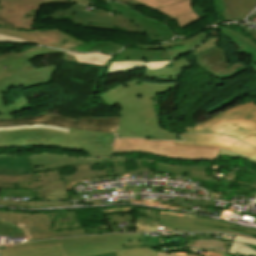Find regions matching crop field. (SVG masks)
<instances>
[{
    "label": "crop field",
    "instance_id": "5866460e",
    "mask_svg": "<svg viewBox=\"0 0 256 256\" xmlns=\"http://www.w3.org/2000/svg\"><path fill=\"white\" fill-rule=\"evenodd\" d=\"M133 68H144V65H114L109 68L107 75L128 71Z\"/></svg>",
    "mask_w": 256,
    "mask_h": 256
},
{
    "label": "crop field",
    "instance_id": "25e5ab78",
    "mask_svg": "<svg viewBox=\"0 0 256 256\" xmlns=\"http://www.w3.org/2000/svg\"><path fill=\"white\" fill-rule=\"evenodd\" d=\"M133 247H141V246H125V247H122V249H125V248H133Z\"/></svg>",
    "mask_w": 256,
    "mask_h": 256
},
{
    "label": "crop field",
    "instance_id": "d9b57169",
    "mask_svg": "<svg viewBox=\"0 0 256 256\" xmlns=\"http://www.w3.org/2000/svg\"><path fill=\"white\" fill-rule=\"evenodd\" d=\"M224 22L242 21L256 7V0H213Z\"/></svg>",
    "mask_w": 256,
    "mask_h": 256
},
{
    "label": "crop field",
    "instance_id": "c035e120",
    "mask_svg": "<svg viewBox=\"0 0 256 256\" xmlns=\"http://www.w3.org/2000/svg\"><path fill=\"white\" fill-rule=\"evenodd\" d=\"M233 26H237V27H239V28L244 29L247 34H249V35L252 36L254 39H256V31H253V30H251V29H249V28H246V27H244V26H242V25H240V24L233 25Z\"/></svg>",
    "mask_w": 256,
    "mask_h": 256
},
{
    "label": "crop field",
    "instance_id": "8a807250",
    "mask_svg": "<svg viewBox=\"0 0 256 256\" xmlns=\"http://www.w3.org/2000/svg\"><path fill=\"white\" fill-rule=\"evenodd\" d=\"M61 3L74 4L69 0H0V33L25 39L31 44L79 52L116 53L124 47L106 41H86L61 30H31L41 5Z\"/></svg>",
    "mask_w": 256,
    "mask_h": 256
},
{
    "label": "crop field",
    "instance_id": "ac0d7876",
    "mask_svg": "<svg viewBox=\"0 0 256 256\" xmlns=\"http://www.w3.org/2000/svg\"><path fill=\"white\" fill-rule=\"evenodd\" d=\"M173 85L134 81L100 95L108 106L121 105L118 137L147 138L159 128V113H154L151 98L168 92Z\"/></svg>",
    "mask_w": 256,
    "mask_h": 256
},
{
    "label": "crop field",
    "instance_id": "412701ff",
    "mask_svg": "<svg viewBox=\"0 0 256 256\" xmlns=\"http://www.w3.org/2000/svg\"><path fill=\"white\" fill-rule=\"evenodd\" d=\"M116 134L71 129L69 134L46 130L26 129L0 132V147L45 146L86 150L89 157H112L111 144ZM52 137V138H50Z\"/></svg>",
    "mask_w": 256,
    "mask_h": 256
},
{
    "label": "crop field",
    "instance_id": "5142ce71",
    "mask_svg": "<svg viewBox=\"0 0 256 256\" xmlns=\"http://www.w3.org/2000/svg\"><path fill=\"white\" fill-rule=\"evenodd\" d=\"M33 172L65 167L81 163H103L102 159H82L51 154H39L29 156Z\"/></svg>",
    "mask_w": 256,
    "mask_h": 256
},
{
    "label": "crop field",
    "instance_id": "e1f06a70",
    "mask_svg": "<svg viewBox=\"0 0 256 256\" xmlns=\"http://www.w3.org/2000/svg\"><path fill=\"white\" fill-rule=\"evenodd\" d=\"M200 255H203V256H232V255H224V254H220V253H208V252H203ZM158 256H195V255H191V254H187V253H160V252H158Z\"/></svg>",
    "mask_w": 256,
    "mask_h": 256
},
{
    "label": "crop field",
    "instance_id": "34b2d1b8",
    "mask_svg": "<svg viewBox=\"0 0 256 256\" xmlns=\"http://www.w3.org/2000/svg\"><path fill=\"white\" fill-rule=\"evenodd\" d=\"M115 11L113 16L100 10H84L86 6L75 3L66 10H53L50 15L41 18L53 17L57 19H72V22L81 26L106 31H123L147 35L155 41L166 42L173 38L170 30L162 23L143 17L129 7L116 2L108 3Z\"/></svg>",
    "mask_w": 256,
    "mask_h": 256
},
{
    "label": "crop field",
    "instance_id": "5a996713",
    "mask_svg": "<svg viewBox=\"0 0 256 256\" xmlns=\"http://www.w3.org/2000/svg\"><path fill=\"white\" fill-rule=\"evenodd\" d=\"M219 150L220 148L186 146L175 144V142L138 139H116L113 146V153H132L136 151L182 160H216Z\"/></svg>",
    "mask_w": 256,
    "mask_h": 256
},
{
    "label": "crop field",
    "instance_id": "22f410ed",
    "mask_svg": "<svg viewBox=\"0 0 256 256\" xmlns=\"http://www.w3.org/2000/svg\"><path fill=\"white\" fill-rule=\"evenodd\" d=\"M194 58L201 68L214 77L225 74L233 77L248 68L239 62L231 65L228 61L226 53L219 47L210 49ZM239 67H242L243 69L234 73L236 68Z\"/></svg>",
    "mask_w": 256,
    "mask_h": 256
},
{
    "label": "crop field",
    "instance_id": "425ffa30",
    "mask_svg": "<svg viewBox=\"0 0 256 256\" xmlns=\"http://www.w3.org/2000/svg\"><path fill=\"white\" fill-rule=\"evenodd\" d=\"M0 118H14L13 115H0Z\"/></svg>",
    "mask_w": 256,
    "mask_h": 256
},
{
    "label": "crop field",
    "instance_id": "f4fd0767",
    "mask_svg": "<svg viewBox=\"0 0 256 256\" xmlns=\"http://www.w3.org/2000/svg\"><path fill=\"white\" fill-rule=\"evenodd\" d=\"M62 52L63 51L37 47L22 53L9 52L0 54V64L3 67L5 66L7 68L5 70L11 74L0 79V113L14 114L34 108L26 96L5 106L3 95L11 88L18 85L21 89H25L50 83L51 74L58 66H46L35 69L28 60L36 56L54 53L62 54Z\"/></svg>",
    "mask_w": 256,
    "mask_h": 256
},
{
    "label": "crop field",
    "instance_id": "b54c1fbb",
    "mask_svg": "<svg viewBox=\"0 0 256 256\" xmlns=\"http://www.w3.org/2000/svg\"><path fill=\"white\" fill-rule=\"evenodd\" d=\"M73 1H76V2H79L81 4H84V5H88V6H93L89 0H73Z\"/></svg>",
    "mask_w": 256,
    "mask_h": 256
},
{
    "label": "crop field",
    "instance_id": "733c2abd",
    "mask_svg": "<svg viewBox=\"0 0 256 256\" xmlns=\"http://www.w3.org/2000/svg\"><path fill=\"white\" fill-rule=\"evenodd\" d=\"M207 33H198L187 39H180L176 41H171L164 44H156V45H140L139 48H147V49H167L171 60L188 52L199 43H201L204 38L209 34Z\"/></svg>",
    "mask_w": 256,
    "mask_h": 256
},
{
    "label": "crop field",
    "instance_id": "dd49c442",
    "mask_svg": "<svg viewBox=\"0 0 256 256\" xmlns=\"http://www.w3.org/2000/svg\"><path fill=\"white\" fill-rule=\"evenodd\" d=\"M0 187L31 188L41 200H69V194L58 170L33 174L27 156L0 157Z\"/></svg>",
    "mask_w": 256,
    "mask_h": 256
},
{
    "label": "crop field",
    "instance_id": "ae1a2a85",
    "mask_svg": "<svg viewBox=\"0 0 256 256\" xmlns=\"http://www.w3.org/2000/svg\"><path fill=\"white\" fill-rule=\"evenodd\" d=\"M0 234L10 235L11 237L28 236V241L31 240L28 226L22 223L0 222Z\"/></svg>",
    "mask_w": 256,
    "mask_h": 256
},
{
    "label": "crop field",
    "instance_id": "bc2a9ffb",
    "mask_svg": "<svg viewBox=\"0 0 256 256\" xmlns=\"http://www.w3.org/2000/svg\"><path fill=\"white\" fill-rule=\"evenodd\" d=\"M0 256H66L61 244H50L36 247L18 249H5L0 251Z\"/></svg>",
    "mask_w": 256,
    "mask_h": 256
},
{
    "label": "crop field",
    "instance_id": "3316defc",
    "mask_svg": "<svg viewBox=\"0 0 256 256\" xmlns=\"http://www.w3.org/2000/svg\"><path fill=\"white\" fill-rule=\"evenodd\" d=\"M62 243L67 256L91 255L121 249L125 245H142V234H104L67 239L36 241L27 244L5 245L6 248Z\"/></svg>",
    "mask_w": 256,
    "mask_h": 256
},
{
    "label": "crop field",
    "instance_id": "4a817a6b",
    "mask_svg": "<svg viewBox=\"0 0 256 256\" xmlns=\"http://www.w3.org/2000/svg\"><path fill=\"white\" fill-rule=\"evenodd\" d=\"M170 60L166 50L128 49L115 55L112 62L117 61H159ZM171 61V60H170Z\"/></svg>",
    "mask_w": 256,
    "mask_h": 256
},
{
    "label": "crop field",
    "instance_id": "eef30255",
    "mask_svg": "<svg viewBox=\"0 0 256 256\" xmlns=\"http://www.w3.org/2000/svg\"><path fill=\"white\" fill-rule=\"evenodd\" d=\"M104 162H109L108 166H106V169L109 173V175L114 174H127V173H138V172H147L145 169H138L137 171H129L127 172L126 167L123 166L124 162H130V161H146V160H138V159H130V158H112V159H103ZM154 173H148V179H153Z\"/></svg>",
    "mask_w": 256,
    "mask_h": 256
},
{
    "label": "crop field",
    "instance_id": "730fd06b",
    "mask_svg": "<svg viewBox=\"0 0 256 256\" xmlns=\"http://www.w3.org/2000/svg\"><path fill=\"white\" fill-rule=\"evenodd\" d=\"M224 36L230 39L231 41L235 40V44L241 49L243 52L251 56V54L256 51V43L250 40L246 35L241 32L223 28L220 29Z\"/></svg>",
    "mask_w": 256,
    "mask_h": 256
},
{
    "label": "crop field",
    "instance_id": "4177f3b9",
    "mask_svg": "<svg viewBox=\"0 0 256 256\" xmlns=\"http://www.w3.org/2000/svg\"><path fill=\"white\" fill-rule=\"evenodd\" d=\"M228 253L256 256V239L236 235Z\"/></svg>",
    "mask_w": 256,
    "mask_h": 256
},
{
    "label": "crop field",
    "instance_id": "5d738f31",
    "mask_svg": "<svg viewBox=\"0 0 256 256\" xmlns=\"http://www.w3.org/2000/svg\"><path fill=\"white\" fill-rule=\"evenodd\" d=\"M7 75H9V73H7V72L3 69V67L0 65V78L5 77V76H7Z\"/></svg>",
    "mask_w": 256,
    "mask_h": 256
},
{
    "label": "crop field",
    "instance_id": "00972430",
    "mask_svg": "<svg viewBox=\"0 0 256 256\" xmlns=\"http://www.w3.org/2000/svg\"><path fill=\"white\" fill-rule=\"evenodd\" d=\"M92 164H81L76 165L78 171L70 176H61L63 180L65 181V184L68 189L73 188L79 180H88L92 178H98V177H104L108 176L106 169H103L102 171H90L88 168Z\"/></svg>",
    "mask_w": 256,
    "mask_h": 256
},
{
    "label": "crop field",
    "instance_id": "028f5c9d",
    "mask_svg": "<svg viewBox=\"0 0 256 256\" xmlns=\"http://www.w3.org/2000/svg\"><path fill=\"white\" fill-rule=\"evenodd\" d=\"M151 136L158 138V139H170V140H176V138H177V135L170 133L161 128L156 130Z\"/></svg>",
    "mask_w": 256,
    "mask_h": 256
},
{
    "label": "crop field",
    "instance_id": "a9b5d70f",
    "mask_svg": "<svg viewBox=\"0 0 256 256\" xmlns=\"http://www.w3.org/2000/svg\"><path fill=\"white\" fill-rule=\"evenodd\" d=\"M172 68H163L159 71H146V75L158 80H176L179 78L182 69L192 66L185 59L172 61Z\"/></svg>",
    "mask_w": 256,
    "mask_h": 256
},
{
    "label": "crop field",
    "instance_id": "b80d0937",
    "mask_svg": "<svg viewBox=\"0 0 256 256\" xmlns=\"http://www.w3.org/2000/svg\"><path fill=\"white\" fill-rule=\"evenodd\" d=\"M1 26V25H0ZM0 42H11V43H28L25 40H21V39H17V38H13V37H9V36H5V35H1L0 34Z\"/></svg>",
    "mask_w": 256,
    "mask_h": 256
},
{
    "label": "crop field",
    "instance_id": "03da06ac",
    "mask_svg": "<svg viewBox=\"0 0 256 256\" xmlns=\"http://www.w3.org/2000/svg\"><path fill=\"white\" fill-rule=\"evenodd\" d=\"M251 69H253L256 72V52L252 54L251 56Z\"/></svg>",
    "mask_w": 256,
    "mask_h": 256
},
{
    "label": "crop field",
    "instance_id": "214f88e0",
    "mask_svg": "<svg viewBox=\"0 0 256 256\" xmlns=\"http://www.w3.org/2000/svg\"><path fill=\"white\" fill-rule=\"evenodd\" d=\"M156 10L161 11L176 19L181 28L202 19L192 10L191 0H186L182 3Z\"/></svg>",
    "mask_w": 256,
    "mask_h": 256
},
{
    "label": "crop field",
    "instance_id": "0bd39190",
    "mask_svg": "<svg viewBox=\"0 0 256 256\" xmlns=\"http://www.w3.org/2000/svg\"><path fill=\"white\" fill-rule=\"evenodd\" d=\"M219 156H233V157L244 158V159L249 160V161H256L255 159H252L250 157L244 156V155L239 154V153L231 152V151H228V150H225V149H222V148H221Z\"/></svg>",
    "mask_w": 256,
    "mask_h": 256
},
{
    "label": "crop field",
    "instance_id": "1d83c4d3",
    "mask_svg": "<svg viewBox=\"0 0 256 256\" xmlns=\"http://www.w3.org/2000/svg\"><path fill=\"white\" fill-rule=\"evenodd\" d=\"M152 9L182 2L184 0H136Z\"/></svg>",
    "mask_w": 256,
    "mask_h": 256
},
{
    "label": "crop field",
    "instance_id": "d8731c3e",
    "mask_svg": "<svg viewBox=\"0 0 256 256\" xmlns=\"http://www.w3.org/2000/svg\"><path fill=\"white\" fill-rule=\"evenodd\" d=\"M186 131L227 134L256 147V104L249 100Z\"/></svg>",
    "mask_w": 256,
    "mask_h": 256
},
{
    "label": "crop field",
    "instance_id": "bd1437ed",
    "mask_svg": "<svg viewBox=\"0 0 256 256\" xmlns=\"http://www.w3.org/2000/svg\"><path fill=\"white\" fill-rule=\"evenodd\" d=\"M157 249L138 248L117 252V256H156Z\"/></svg>",
    "mask_w": 256,
    "mask_h": 256
},
{
    "label": "crop field",
    "instance_id": "d3111659",
    "mask_svg": "<svg viewBox=\"0 0 256 256\" xmlns=\"http://www.w3.org/2000/svg\"><path fill=\"white\" fill-rule=\"evenodd\" d=\"M0 205L14 206V207L72 206L71 203H67V202H21V201H10V200H0Z\"/></svg>",
    "mask_w": 256,
    "mask_h": 256
},
{
    "label": "crop field",
    "instance_id": "dafd665d",
    "mask_svg": "<svg viewBox=\"0 0 256 256\" xmlns=\"http://www.w3.org/2000/svg\"><path fill=\"white\" fill-rule=\"evenodd\" d=\"M158 215L159 211L136 208L135 232L156 231Z\"/></svg>",
    "mask_w": 256,
    "mask_h": 256
},
{
    "label": "crop field",
    "instance_id": "d1516ede",
    "mask_svg": "<svg viewBox=\"0 0 256 256\" xmlns=\"http://www.w3.org/2000/svg\"><path fill=\"white\" fill-rule=\"evenodd\" d=\"M158 224H166V230L178 231H226L241 234H256V229L247 230L237 228L232 224L211 218L196 216V218H183L178 216L160 214Z\"/></svg>",
    "mask_w": 256,
    "mask_h": 256
},
{
    "label": "crop field",
    "instance_id": "c21b1889",
    "mask_svg": "<svg viewBox=\"0 0 256 256\" xmlns=\"http://www.w3.org/2000/svg\"><path fill=\"white\" fill-rule=\"evenodd\" d=\"M104 1H108V0H104ZM118 1H122V2H124V3L129 4V5L136 6V7L143 8V9H146V8L142 7L141 5L137 4L136 2H134L133 0H118Z\"/></svg>",
    "mask_w": 256,
    "mask_h": 256
},
{
    "label": "crop field",
    "instance_id": "cbeb9de0",
    "mask_svg": "<svg viewBox=\"0 0 256 256\" xmlns=\"http://www.w3.org/2000/svg\"><path fill=\"white\" fill-rule=\"evenodd\" d=\"M186 141L176 142L187 145H204L213 147H223L232 151L242 153L256 159V149H253L235 139L221 135H201V134H179Z\"/></svg>",
    "mask_w": 256,
    "mask_h": 256
},
{
    "label": "crop field",
    "instance_id": "750c4746",
    "mask_svg": "<svg viewBox=\"0 0 256 256\" xmlns=\"http://www.w3.org/2000/svg\"><path fill=\"white\" fill-rule=\"evenodd\" d=\"M218 40H220V38L217 34V30H214V32L206 39V41L203 44H201L200 46H198L196 49L192 51L193 57L210 48H213L219 45Z\"/></svg>",
    "mask_w": 256,
    "mask_h": 256
},
{
    "label": "crop field",
    "instance_id": "120bbe31",
    "mask_svg": "<svg viewBox=\"0 0 256 256\" xmlns=\"http://www.w3.org/2000/svg\"><path fill=\"white\" fill-rule=\"evenodd\" d=\"M26 128H46V129H52V130L66 132V133H68L69 130H70V129H65V128H62V127L34 124V125H22V126H14V127H4V128H0V131L26 129Z\"/></svg>",
    "mask_w": 256,
    "mask_h": 256
},
{
    "label": "crop field",
    "instance_id": "92a150f3",
    "mask_svg": "<svg viewBox=\"0 0 256 256\" xmlns=\"http://www.w3.org/2000/svg\"><path fill=\"white\" fill-rule=\"evenodd\" d=\"M112 58L113 56L105 55L102 53H93L85 55L66 52L63 60L109 68Z\"/></svg>",
    "mask_w": 256,
    "mask_h": 256
},
{
    "label": "crop field",
    "instance_id": "d23c7cc5",
    "mask_svg": "<svg viewBox=\"0 0 256 256\" xmlns=\"http://www.w3.org/2000/svg\"><path fill=\"white\" fill-rule=\"evenodd\" d=\"M92 256H116V252L106 253V254H99V255H92Z\"/></svg>",
    "mask_w": 256,
    "mask_h": 256
},
{
    "label": "crop field",
    "instance_id": "d32e631a",
    "mask_svg": "<svg viewBox=\"0 0 256 256\" xmlns=\"http://www.w3.org/2000/svg\"><path fill=\"white\" fill-rule=\"evenodd\" d=\"M169 61H159V62H117L113 64H145L146 69H158L165 66Z\"/></svg>",
    "mask_w": 256,
    "mask_h": 256
},
{
    "label": "crop field",
    "instance_id": "28ad6ade",
    "mask_svg": "<svg viewBox=\"0 0 256 256\" xmlns=\"http://www.w3.org/2000/svg\"><path fill=\"white\" fill-rule=\"evenodd\" d=\"M47 124L97 132L117 133L119 118H85L78 121L50 114H39L19 119H0V127L22 124Z\"/></svg>",
    "mask_w": 256,
    "mask_h": 256
},
{
    "label": "crop field",
    "instance_id": "e52e79f7",
    "mask_svg": "<svg viewBox=\"0 0 256 256\" xmlns=\"http://www.w3.org/2000/svg\"><path fill=\"white\" fill-rule=\"evenodd\" d=\"M0 221L27 223L32 241L85 234L77 222L74 210L43 214L0 212Z\"/></svg>",
    "mask_w": 256,
    "mask_h": 256
}]
</instances>
